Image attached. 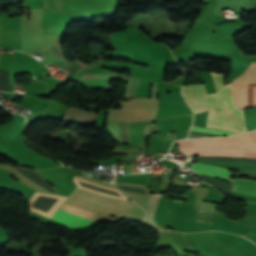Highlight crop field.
Segmentation results:
<instances>
[{"label":"crop field","instance_id":"8a807250","mask_svg":"<svg viewBox=\"0 0 256 256\" xmlns=\"http://www.w3.org/2000/svg\"><path fill=\"white\" fill-rule=\"evenodd\" d=\"M217 93L206 95L204 84L182 90L194 114L209 111L206 127L236 133L247 131L242 110L233 105L231 83L224 87L223 74H212Z\"/></svg>","mask_w":256,"mask_h":256},{"label":"crop field","instance_id":"ac0d7876","mask_svg":"<svg viewBox=\"0 0 256 256\" xmlns=\"http://www.w3.org/2000/svg\"><path fill=\"white\" fill-rule=\"evenodd\" d=\"M178 147L188 155H224L242 157L244 147L238 140V136L226 138H213L204 140L179 141ZM182 151V149H179Z\"/></svg>","mask_w":256,"mask_h":256},{"label":"crop field","instance_id":"34b2d1b8","mask_svg":"<svg viewBox=\"0 0 256 256\" xmlns=\"http://www.w3.org/2000/svg\"><path fill=\"white\" fill-rule=\"evenodd\" d=\"M255 65L252 62L241 76L232 80L234 105L238 109L253 107V86H256Z\"/></svg>","mask_w":256,"mask_h":256},{"label":"crop field","instance_id":"412701ff","mask_svg":"<svg viewBox=\"0 0 256 256\" xmlns=\"http://www.w3.org/2000/svg\"><path fill=\"white\" fill-rule=\"evenodd\" d=\"M95 213L85 211L63 203L52 219L65 224L69 229H79L88 227L95 220Z\"/></svg>","mask_w":256,"mask_h":256},{"label":"crop field","instance_id":"f4fd0767","mask_svg":"<svg viewBox=\"0 0 256 256\" xmlns=\"http://www.w3.org/2000/svg\"><path fill=\"white\" fill-rule=\"evenodd\" d=\"M82 79H116V80H125L128 82L126 88L125 99H130L135 97V93L138 87L139 79L121 75V74H83Z\"/></svg>","mask_w":256,"mask_h":256},{"label":"crop field","instance_id":"dd49c442","mask_svg":"<svg viewBox=\"0 0 256 256\" xmlns=\"http://www.w3.org/2000/svg\"><path fill=\"white\" fill-rule=\"evenodd\" d=\"M190 169H193L196 173H201V174L209 175V176H215V177H219L224 180L227 177L232 176V173H230L225 168L210 166V165H206V164L197 163V164H194Z\"/></svg>","mask_w":256,"mask_h":256},{"label":"crop field","instance_id":"e52e79f7","mask_svg":"<svg viewBox=\"0 0 256 256\" xmlns=\"http://www.w3.org/2000/svg\"><path fill=\"white\" fill-rule=\"evenodd\" d=\"M226 181L234 186V191L256 196V181L243 178H227Z\"/></svg>","mask_w":256,"mask_h":256},{"label":"crop field","instance_id":"d8731c3e","mask_svg":"<svg viewBox=\"0 0 256 256\" xmlns=\"http://www.w3.org/2000/svg\"><path fill=\"white\" fill-rule=\"evenodd\" d=\"M239 138L241 143L245 146L243 156L256 158V130L241 134Z\"/></svg>","mask_w":256,"mask_h":256},{"label":"crop field","instance_id":"5a996713","mask_svg":"<svg viewBox=\"0 0 256 256\" xmlns=\"http://www.w3.org/2000/svg\"><path fill=\"white\" fill-rule=\"evenodd\" d=\"M160 195H149L147 205L145 212L147 213L146 219H145V225L155 229V230H163L161 227H159L153 220L154 212L156 209L157 201L161 197Z\"/></svg>","mask_w":256,"mask_h":256},{"label":"crop field","instance_id":"3316defc","mask_svg":"<svg viewBox=\"0 0 256 256\" xmlns=\"http://www.w3.org/2000/svg\"><path fill=\"white\" fill-rule=\"evenodd\" d=\"M217 205L202 203L195 222L212 223Z\"/></svg>","mask_w":256,"mask_h":256},{"label":"crop field","instance_id":"28ad6ade","mask_svg":"<svg viewBox=\"0 0 256 256\" xmlns=\"http://www.w3.org/2000/svg\"><path fill=\"white\" fill-rule=\"evenodd\" d=\"M159 131L156 125L153 126H145V135Z\"/></svg>","mask_w":256,"mask_h":256},{"label":"crop field","instance_id":"d1516ede","mask_svg":"<svg viewBox=\"0 0 256 256\" xmlns=\"http://www.w3.org/2000/svg\"><path fill=\"white\" fill-rule=\"evenodd\" d=\"M253 103H256V87H254Z\"/></svg>","mask_w":256,"mask_h":256}]
</instances>
